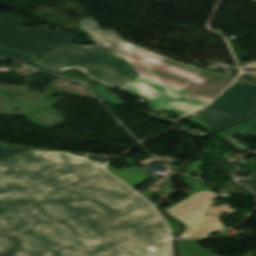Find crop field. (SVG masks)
Returning a JSON list of instances; mask_svg holds the SVG:
<instances>
[{"instance_id": "obj_1", "label": "crop field", "mask_w": 256, "mask_h": 256, "mask_svg": "<svg viewBox=\"0 0 256 256\" xmlns=\"http://www.w3.org/2000/svg\"><path fill=\"white\" fill-rule=\"evenodd\" d=\"M103 163L0 162V255L169 256L153 207Z\"/></svg>"}, {"instance_id": "obj_2", "label": "crop field", "mask_w": 256, "mask_h": 256, "mask_svg": "<svg viewBox=\"0 0 256 256\" xmlns=\"http://www.w3.org/2000/svg\"><path fill=\"white\" fill-rule=\"evenodd\" d=\"M81 28L96 46L78 47L127 60L142 77L120 88L149 99L157 109L173 111L181 116L210 102L233 81L140 48L120 39L116 31H99L93 18L83 19Z\"/></svg>"}, {"instance_id": "obj_3", "label": "crop field", "mask_w": 256, "mask_h": 256, "mask_svg": "<svg viewBox=\"0 0 256 256\" xmlns=\"http://www.w3.org/2000/svg\"><path fill=\"white\" fill-rule=\"evenodd\" d=\"M35 64L87 82L63 72L67 68L81 70L92 79L103 83L102 86H94L87 82L96 92V95L106 99L112 105H122L123 102L108 93L105 87L118 86L137 76L126 61L70 46L35 61Z\"/></svg>"}, {"instance_id": "obj_4", "label": "crop field", "mask_w": 256, "mask_h": 256, "mask_svg": "<svg viewBox=\"0 0 256 256\" xmlns=\"http://www.w3.org/2000/svg\"><path fill=\"white\" fill-rule=\"evenodd\" d=\"M254 112H256V84L237 81L208 107L184 119L213 131Z\"/></svg>"}, {"instance_id": "obj_5", "label": "crop field", "mask_w": 256, "mask_h": 256, "mask_svg": "<svg viewBox=\"0 0 256 256\" xmlns=\"http://www.w3.org/2000/svg\"><path fill=\"white\" fill-rule=\"evenodd\" d=\"M24 20L13 15L0 16V47L44 55L72 40L75 36L62 29L42 25L21 29Z\"/></svg>"}, {"instance_id": "obj_6", "label": "crop field", "mask_w": 256, "mask_h": 256, "mask_svg": "<svg viewBox=\"0 0 256 256\" xmlns=\"http://www.w3.org/2000/svg\"><path fill=\"white\" fill-rule=\"evenodd\" d=\"M230 207V205L223 204L222 206L207 207L203 209L199 213L182 222L186 225V229L180 237L205 238L212 235L214 231L224 230L225 226L221 219L227 214L235 211ZM207 212L209 214L204 215ZM223 212L225 213L218 218L217 216Z\"/></svg>"}, {"instance_id": "obj_7", "label": "crop field", "mask_w": 256, "mask_h": 256, "mask_svg": "<svg viewBox=\"0 0 256 256\" xmlns=\"http://www.w3.org/2000/svg\"><path fill=\"white\" fill-rule=\"evenodd\" d=\"M216 196L212 192L200 191L166 212L176 220L182 222L212 204L214 202L212 200Z\"/></svg>"}, {"instance_id": "obj_8", "label": "crop field", "mask_w": 256, "mask_h": 256, "mask_svg": "<svg viewBox=\"0 0 256 256\" xmlns=\"http://www.w3.org/2000/svg\"><path fill=\"white\" fill-rule=\"evenodd\" d=\"M236 134H241L244 137L247 135H256V117L253 119H250L248 121H245L241 124H238L236 126H233L231 128H228L226 130H223V131L217 133L216 135L225 139L232 146L237 147L242 150H245L247 148V146L238 144L232 138V136L236 135Z\"/></svg>"}, {"instance_id": "obj_9", "label": "crop field", "mask_w": 256, "mask_h": 256, "mask_svg": "<svg viewBox=\"0 0 256 256\" xmlns=\"http://www.w3.org/2000/svg\"><path fill=\"white\" fill-rule=\"evenodd\" d=\"M22 155L32 160L99 162V161H92L85 157H79V156L71 155L69 153L60 152V151H53V152L29 151Z\"/></svg>"}, {"instance_id": "obj_10", "label": "crop field", "mask_w": 256, "mask_h": 256, "mask_svg": "<svg viewBox=\"0 0 256 256\" xmlns=\"http://www.w3.org/2000/svg\"><path fill=\"white\" fill-rule=\"evenodd\" d=\"M180 256H208L212 255L211 250L198 247L197 240L178 239Z\"/></svg>"}, {"instance_id": "obj_11", "label": "crop field", "mask_w": 256, "mask_h": 256, "mask_svg": "<svg viewBox=\"0 0 256 256\" xmlns=\"http://www.w3.org/2000/svg\"><path fill=\"white\" fill-rule=\"evenodd\" d=\"M35 147L33 146H26V147H16L12 149H6L5 146L0 145V161H3L5 159H8L10 157L22 154L24 152H27Z\"/></svg>"}, {"instance_id": "obj_12", "label": "crop field", "mask_w": 256, "mask_h": 256, "mask_svg": "<svg viewBox=\"0 0 256 256\" xmlns=\"http://www.w3.org/2000/svg\"><path fill=\"white\" fill-rule=\"evenodd\" d=\"M0 55L8 57V58L16 59V60H21L25 63H27L29 61H33L36 58V56L25 55V54L16 53V52H10V51H6V50H2V49H0ZM11 55H15L16 58L11 57Z\"/></svg>"}, {"instance_id": "obj_13", "label": "crop field", "mask_w": 256, "mask_h": 256, "mask_svg": "<svg viewBox=\"0 0 256 256\" xmlns=\"http://www.w3.org/2000/svg\"><path fill=\"white\" fill-rule=\"evenodd\" d=\"M203 164H204V162H201V161H194V162L192 163L191 167H190L187 171L194 173L195 171L199 170V167H200L201 165H203Z\"/></svg>"}, {"instance_id": "obj_14", "label": "crop field", "mask_w": 256, "mask_h": 256, "mask_svg": "<svg viewBox=\"0 0 256 256\" xmlns=\"http://www.w3.org/2000/svg\"><path fill=\"white\" fill-rule=\"evenodd\" d=\"M163 218L166 220V222L168 223L171 232H172V237L174 236V234L176 233V231L179 229L178 225L170 222L166 217L163 216Z\"/></svg>"}, {"instance_id": "obj_15", "label": "crop field", "mask_w": 256, "mask_h": 256, "mask_svg": "<svg viewBox=\"0 0 256 256\" xmlns=\"http://www.w3.org/2000/svg\"><path fill=\"white\" fill-rule=\"evenodd\" d=\"M245 66H247V67H256V61H252V62L246 64Z\"/></svg>"}, {"instance_id": "obj_16", "label": "crop field", "mask_w": 256, "mask_h": 256, "mask_svg": "<svg viewBox=\"0 0 256 256\" xmlns=\"http://www.w3.org/2000/svg\"><path fill=\"white\" fill-rule=\"evenodd\" d=\"M10 70V68H2V67H0V71H9Z\"/></svg>"}, {"instance_id": "obj_17", "label": "crop field", "mask_w": 256, "mask_h": 256, "mask_svg": "<svg viewBox=\"0 0 256 256\" xmlns=\"http://www.w3.org/2000/svg\"><path fill=\"white\" fill-rule=\"evenodd\" d=\"M256 253V252H255ZM212 256H215V255H212Z\"/></svg>"}]
</instances>
